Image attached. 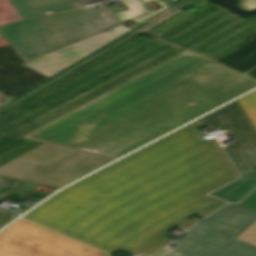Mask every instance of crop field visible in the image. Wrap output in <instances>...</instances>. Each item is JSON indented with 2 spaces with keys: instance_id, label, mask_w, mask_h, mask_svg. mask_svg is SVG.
<instances>
[{
  "instance_id": "18",
  "label": "crop field",
  "mask_w": 256,
  "mask_h": 256,
  "mask_svg": "<svg viewBox=\"0 0 256 256\" xmlns=\"http://www.w3.org/2000/svg\"><path fill=\"white\" fill-rule=\"evenodd\" d=\"M156 4L159 5V6H161L162 8H160V9H158V10H156V11H153V12H151V13H149V14H146V15H144V16H141V17H138V18H136V19H133V20H131V21H128V22H132V23H135V24H139V23H141V22L147 20L148 18H150V17L153 16L154 14H156V13L160 12L161 10L167 8L163 2H156ZM133 28H134V27H133Z\"/></svg>"
},
{
  "instance_id": "15",
  "label": "crop field",
  "mask_w": 256,
  "mask_h": 256,
  "mask_svg": "<svg viewBox=\"0 0 256 256\" xmlns=\"http://www.w3.org/2000/svg\"><path fill=\"white\" fill-rule=\"evenodd\" d=\"M191 16H193V15L184 11V12L180 13L179 15L175 16L174 18L168 20L167 22L148 31L146 34L153 35L156 32L162 34V33L166 32L167 30L171 29L172 27L176 26L177 24L188 19Z\"/></svg>"
},
{
  "instance_id": "14",
  "label": "crop field",
  "mask_w": 256,
  "mask_h": 256,
  "mask_svg": "<svg viewBox=\"0 0 256 256\" xmlns=\"http://www.w3.org/2000/svg\"><path fill=\"white\" fill-rule=\"evenodd\" d=\"M238 102L240 103L256 129V93L252 92L238 99Z\"/></svg>"
},
{
  "instance_id": "9",
  "label": "crop field",
  "mask_w": 256,
  "mask_h": 256,
  "mask_svg": "<svg viewBox=\"0 0 256 256\" xmlns=\"http://www.w3.org/2000/svg\"><path fill=\"white\" fill-rule=\"evenodd\" d=\"M256 219V213L245 208L230 204L208 218L205 222L221 224L235 230L228 233L238 234L248 224ZM234 235V236H235ZM233 236V237H234Z\"/></svg>"
},
{
  "instance_id": "13",
  "label": "crop field",
  "mask_w": 256,
  "mask_h": 256,
  "mask_svg": "<svg viewBox=\"0 0 256 256\" xmlns=\"http://www.w3.org/2000/svg\"><path fill=\"white\" fill-rule=\"evenodd\" d=\"M124 5H127L129 11L118 12L117 16L121 21L132 19L145 13V10L139 0H121Z\"/></svg>"
},
{
  "instance_id": "5",
  "label": "crop field",
  "mask_w": 256,
  "mask_h": 256,
  "mask_svg": "<svg viewBox=\"0 0 256 256\" xmlns=\"http://www.w3.org/2000/svg\"><path fill=\"white\" fill-rule=\"evenodd\" d=\"M0 256H107L22 219L0 233Z\"/></svg>"
},
{
  "instance_id": "11",
  "label": "crop field",
  "mask_w": 256,
  "mask_h": 256,
  "mask_svg": "<svg viewBox=\"0 0 256 256\" xmlns=\"http://www.w3.org/2000/svg\"><path fill=\"white\" fill-rule=\"evenodd\" d=\"M256 186V171L211 193L227 202H237Z\"/></svg>"
},
{
  "instance_id": "21",
  "label": "crop field",
  "mask_w": 256,
  "mask_h": 256,
  "mask_svg": "<svg viewBox=\"0 0 256 256\" xmlns=\"http://www.w3.org/2000/svg\"><path fill=\"white\" fill-rule=\"evenodd\" d=\"M94 1H100V0H76L78 6L88 3V2H94Z\"/></svg>"
},
{
  "instance_id": "22",
  "label": "crop field",
  "mask_w": 256,
  "mask_h": 256,
  "mask_svg": "<svg viewBox=\"0 0 256 256\" xmlns=\"http://www.w3.org/2000/svg\"><path fill=\"white\" fill-rule=\"evenodd\" d=\"M225 204H227V203L223 202V203L219 204L218 206L214 207L213 209L209 210L208 212H206V213H204V214H208V213H210V212L216 210L217 208H219V207H221V206H223V205H225Z\"/></svg>"
},
{
  "instance_id": "7",
  "label": "crop field",
  "mask_w": 256,
  "mask_h": 256,
  "mask_svg": "<svg viewBox=\"0 0 256 256\" xmlns=\"http://www.w3.org/2000/svg\"><path fill=\"white\" fill-rule=\"evenodd\" d=\"M233 235L210 228L199 222L177 240L173 249H165L154 256H256V247L232 239Z\"/></svg>"
},
{
  "instance_id": "20",
  "label": "crop field",
  "mask_w": 256,
  "mask_h": 256,
  "mask_svg": "<svg viewBox=\"0 0 256 256\" xmlns=\"http://www.w3.org/2000/svg\"><path fill=\"white\" fill-rule=\"evenodd\" d=\"M211 227L215 228V229H218V230H221V231H224V232L233 230V229H230V228H227V227H224V226H220V225H217V224H211Z\"/></svg>"
},
{
  "instance_id": "24",
  "label": "crop field",
  "mask_w": 256,
  "mask_h": 256,
  "mask_svg": "<svg viewBox=\"0 0 256 256\" xmlns=\"http://www.w3.org/2000/svg\"><path fill=\"white\" fill-rule=\"evenodd\" d=\"M189 222H196V221L190 220Z\"/></svg>"
},
{
  "instance_id": "23",
  "label": "crop field",
  "mask_w": 256,
  "mask_h": 256,
  "mask_svg": "<svg viewBox=\"0 0 256 256\" xmlns=\"http://www.w3.org/2000/svg\"><path fill=\"white\" fill-rule=\"evenodd\" d=\"M143 2H148V1H157V0H142Z\"/></svg>"
},
{
  "instance_id": "2",
  "label": "crop field",
  "mask_w": 256,
  "mask_h": 256,
  "mask_svg": "<svg viewBox=\"0 0 256 256\" xmlns=\"http://www.w3.org/2000/svg\"><path fill=\"white\" fill-rule=\"evenodd\" d=\"M254 86L184 50L22 138L116 159Z\"/></svg>"
},
{
  "instance_id": "16",
  "label": "crop field",
  "mask_w": 256,
  "mask_h": 256,
  "mask_svg": "<svg viewBox=\"0 0 256 256\" xmlns=\"http://www.w3.org/2000/svg\"><path fill=\"white\" fill-rule=\"evenodd\" d=\"M235 238L256 246V220Z\"/></svg>"
},
{
  "instance_id": "17",
  "label": "crop field",
  "mask_w": 256,
  "mask_h": 256,
  "mask_svg": "<svg viewBox=\"0 0 256 256\" xmlns=\"http://www.w3.org/2000/svg\"><path fill=\"white\" fill-rule=\"evenodd\" d=\"M239 206L245 207L256 212V189L253 190L247 197H245L239 204Z\"/></svg>"
},
{
  "instance_id": "8",
  "label": "crop field",
  "mask_w": 256,
  "mask_h": 256,
  "mask_svg": "<svg viewBox=\"0 0 256 256\" xmlns=\"http://www.w3.org/2000/svg\"><path fill=\"white\" fill-rule=\"evenodd\" d=\"M111 30H113L112 33H98L28 61L22 64V66L49 78L80 58L120 37L130 29L126 28L124 25H119L111 28Z\"/></svg>"
},
{
  "instance_id": "1",
  "label": "crop field",
  "mask_w": 256,
  "mask_h": 256,
  "mask_svg": "<svg viewBox=\"0 0 256 256\" xmlns=\"http://www.w3.org/2000/svg\"><path fill=\"white\" fill-rule=\"evenodd\" d=\"M203 118L54 195L23 218L113 253L153 255L174 225L222 201L206 193L238 175Z\"/></svg>"
},
{
  "instance_id": "6",
  "label": "crop field",
  "mask_w": 256,
  "mask_h": 256,
  "mask_svg": "<svg viewBox=\"0 0 256 256\" xmlns=\"http://www.w3.org/2000/svg\"><path fill=\"white\" fill-rule=\"evenodd\" d=\"M206 117L214 130L229 129L235 137L224 149L241 177L256 170V130L237 100Z\"/></svg>"
},
{
  "instance_id": "10",
  "label": "crop field",
  "mask_w": 256,
  "mask_h": 256,
  "mask_svg": "<svg viewBox=\"0 0 256 256\" xmlns=\"http://www.w3.org/2000/svg\"><path fill=\"white\" fill-rule=\"evenodd\" d=\"M23 19L77 8L75 0H10Z\"/></svg>"
},
{
  "instance_id": "19",
  "label": "crop field",
  "mask_w": 256,
  "mask_h": 256,
  "mask_svg": "<svg viewBox=\"0 0 256 256\" xmlns=\"http://www.w3.org/2000/svg\"><path fill=\"white\" fill-rule=\"evenodd\" d=\"M239 7L243 11L250 12L256 9V0H240Z\"/></svg>"
},
{
  "instance_id": "12",
  "label": "crop field",
  "mask_w": 256,
  "mask_h": 256,
  "mask_svg": "<svg viewBox=\"0 0 256 256\" xmlns=\"http://www.w3.org/2000/svg\"><path fill=\"white\" fill-rule=\"evenodd\" d=\"M22 184H24V182L1 177L0 200L7 196L8 194H10L11 192H13L14 190H16L17 188H19ZM18 216V214L0 208V228Z\"/></svg>"
},
{
  "instance_id": "3",
  "label": "crop field",
  "mask_w": 256,
  "mask_h": 256,
  "mask_svg": "<svg viewBox=\"0 0 256 256\" xmlns=\"http://www.w3.org/2000/svg\"><path fill=\"white\" fill-rule=\"evenodd\" d=\"M109 8H87L0 26V34L24 62L119 25Z\"/></svg>"
},
{
  "instance_id": "4",
  "label": "crop field",
  "mask_w": 256,
  "mask_h": 256,
  "mask_svg": "<svg viewBox=\"0 0 256 256\" xmlns=\"http://www.w3.org/2000/svg\"><path fill=\"white\" fill-rule=\"evenodd\" d=\"M105 158L43 143L0 166V176L58 189L110 162Z\"/></svg>"
}]
</instances>
